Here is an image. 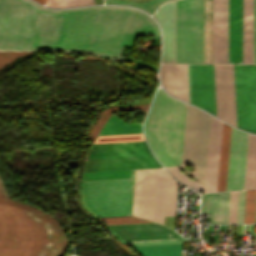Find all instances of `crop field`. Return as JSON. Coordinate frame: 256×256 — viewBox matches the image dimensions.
Here are the masks:
<instances>
[{
  "label": "crop field",
  "instance_id": "26",
  "mask_svg": "<svg viewBox=\"0 0 256 256\" xmlns=\"http://www.w3.org/2000/svg\"><path fill=\"white\" fill-rule=\"evenodd\" d=\"M161 81L170 94L178 97L176 65H162Z\"/></svg>",
  "mask_w": 256,
  "mask_h": 256
},
{
  "label": "crop field",
  "instance_id": "13",
  "mask_svg": "<svg viewBox=\"0 0 256 256\" xmlns=\"http://www.w3.org/2000/svg\"><path fill=\"white\" fill-rule=\"evenodd\" d=\"M248 134L232 128L227 190L243 189Z\"/></svg>",
  "mask_w": 256,
  "mask_h": 256
},
{
  "label": "crop field",
  "instance_id": "25",
  "mask_svg": "<svg viewBox=\"0 0 256 256\" xmlns=\"http://www.w3.org/2000/svg\"><path fill=\"white\" fill-rule=\"evenodd\" d=\"M182 244L134 247L143 256H181Z\"/></svg>",
  "mask_w": 256,
  "mask_h": 256
},
{
  "label": "crop field",
  "instance_id": "17",
  "mask_svg": "<svg viewBox=\"0 0 256 256\" xmlns=\"http://www.w3.org/2000/svg\"><path fill=\"white\" fill-rule=\"evenodd\" d=\"M122 239H153L179 237L170 229L155 223L109 226Z\"/></svg>",
  "mask_w": 256,
  "mask_h": 256
},
{
  "label": "crop field",
  "instance_id": "42",
  "mask_svg": "<svg viewBox=\"0 0 256 256\" xmlns=\"http://www.w3.org/2000/svg\"><path fill=\"white\" fill-rule=\"evenodd\" d=\"M37 1H39V2H41V3H43V4H44V2H45V0H37Z\"/></svg>",
  "mask_w": 256,
  "mask_h": 256
},
{
  "label": "crop field",
  "instance_id": "21",
  "mask_svg": "<svg viewBox=\"0 0 256 256\" xmlns=\"http://www.w3.org/2000/svg\"><path fill=\"white\" fill-rule=\"evenodd\" d=\"M256 188V136L249 134L244 189Z\"/></svg>",
  "mask_w": 256,
  "mask_h": 256
},
{
  "label": "crop field",
  "instance_id": "36",
  "mask_svg": "<svg viewBox=\"0 0 256 256\" xmlns=\"http://www.w3.org/2000/svg\"><path fill=\"white\" fill-rule=\"evenodd\" d=\"M246 190L238 191L237 223H244Z\"/></svg>",
  "mask_w": 256,
  "mask_h": 256
},
{
  "label": "crop field",
  "instance_id": "20",
  "mask_svg": "<svg viewBox=\"0 0 256 256\" xmlns=\"http://www.w3.org/2000/svg\"><path fill=\"white\" fill-rule=\"evenodd\" d=\"M167 172L157 169L153 221L163 224Z\"/></svg>",
  "mask_w": 256,
  "mask_h": 256
},
{
  "label": "crop field",
  "instance_id": "14",
  "mask_svg": "<svg viewBox=\"0 0 256 256\" xmlns=\"http://www.w3.org/2000/svg\"><path fill=\"white\" fill-rule=\"evenodd\" d=\"M213 63H228V0H213Z\"/></svg>",
  "mask_w": 256,
  "mask_h": 256
},
{
  "label": "crop field",
  "instance_id": "8",
  "mask_svg": "<svg viewBox=\"0 0 256 256\" xmlns=\"http://www.w3.org/2000/svg\"><path fill=\"white\" fill-rule=\"evenodd\" d=\"M237 127L256 133V65H234Z\"/></svg>",
  "mask_w": 256,
  "mask_h": 256
},
{
  "label": "crop field",
  "instance_id": "16",
  "mask_svg": "<svg viewBox=\"0 0 256 256\" xmlns=\"http://www.w3.org/2000/svg\"><path fill=\"white\" fill-rule=\"evenodd\" d=\"M229 63H242V0H229Z\"/></svg>",
  "mask_w": 256,
  "mask_h": 256
},
{
  "label": "crop field",
  "instance_id": "41",
  "mask_svg": "<svg viewBox=\"0 0 256 256\" xmlns=\"http://www.w3.org/2000/svg\"><path fill=\"white\" fill-rule=\"evenodd\" d=\"M47 5L50 7H57V0H47Z\"/></svg>",
  "mask_w": 256,
  "mask_h": 256
},
{
  "label": "crop field",
  "instance_id": "11",
  "mask_svg": "<svg viewBox=\"0 0 256 256\" xmlns=\"http://www.w3.org/2000/svg\"><path fill=\"white\" fill-rule=\"evenodd\" d=\"M217 117L236 126L233 65H214Z\"/></svg>",
  "mask_w": 256,
  "mask_h": 256
},
{
  "label": "crop field",
  "instance_id": "40",
  "mask_svg": "<svg viewBox=\"0 0 256 256\" xmlns=\"http://www.w3.org/2000/svg\"><path fill=\"white\" fill-rule=\"evenodd\" d=\"M185 241H187V240L150 242V243H135V244H130V245L133 246V245H146V244H172V243H184Z\"/></svg>",
  "mask_w": 256,
  "mask_h": 256
},
{
  "label": "crop field",
  "instance_id": "15",
  "mask_svg": "<svg viewBox=\"0 0 256 256\" xmlns=\"http://www.w3.org/2000/svg\"><path fill=\"white\" fill-rule=\"evenodd\" d=\"M154 18L163 31L162 63H175V1L160 6Z\"/></svg>",
  "mask_w": 256,
  "mask_h": 256
},
{
  "label": "crop field",
  "instance_id": "38",
  "mask_svg": "<svg viewBox=\"0 0 256 256\" xmlns=\"http://www.w3.org/2000/svg\"><path fill=\"white\" fill-rule=\"evenodd\" d=\"M237 191L231 192L229 223H236Z\"/></svg>",
  "mask_w": 256,
  "mask_h": 256
},
{
  "label": "crop field",
  "instance_id": "2",
  "mask_svg": "<svg viewBox=\"0 0 256 256\" xmlns=\"http://www.w3.org/2000/svg\"><path fill=\"white\" fill-rule=\"evenodd\" d=\"M32 52H0V69ZM67 239L49 214L10 200L0 181V256H62Z\"/></svg>",
  "mask_w": 256,
  "mask_h": 256
},
{
  "label": "crop field",
  "instance_id": "9",
  "mask_svg": "<svg viewBox=\"0 0 256 256\" xmlns=\"http://www.w3.org/2000/svg\"><path fill=\"white\" fill-rule=\"evenodd\" d=\"M223 122L211 117L205 186L188 178L177 167L166 168L181 183L201 190L216 191Z\"/></svg>",
  "mask_w": 256,
  "mask_h": 256
},
{
  "label": "crop field",
  "instance_id": "12",
  "mask_svg": "<svg viewBox=\"0 0 256 256\" xmlns=\"http://www.w3.org/2000/svg\"><path fill=\"white\" fill-rule=\"evenodd\" d=\"M156 169L136 170L133 215L152 221Z\"/></svg>",
  "mask_w": 256,
  "mask_h": 256
},
{
  "label": "crop field",
  "instance_id": "31",
  "mask_svg": "<svg viewBox=\"0 0 256 256\" xmlns=\"http://www.w3.org/2000/svg\"><path fill=\"white\" fill-rule=\"evenodd\" d=\"M169 0H152L150 2H128V1H117V0H105L106 4H123L130 5L140 8L148 13H153L155 9L163 2Z\"/></svg>",
  "mask_w": 256,
  "mask_h": 256
},
{
  "label": "crop field",
  "instance_id": "4",
  "mask_svg": "<svg viewBox=\"0 0 256 256\" xmlns=\"http://www.w3.org/2000/svg\"><path fill=\"white\" fill-rule=\"evenodd\" d=\"M154 167L161 166L145 141L102 143L91 147L83 172Z\"/></svg>",
  "mask_w": 256,
  "mask_h": 256
},
{
  "label": "crop field",
  "instance_id": "5",
  "mask_svg": "<svg viewBox=\"0 0 256 256\" xmlns=\"http://www.w3.org/2000/svg\"><path fill=\"white\" fill-rule=\"evenodd\" d=\"M203 0L176 1V63H202Z\"/></svg>",
  "mask_w": 256,
  "mask_h": 256
},
{
  "label": "crop field",
  "instance_id": "3",
  "mask_svg": "<svg viewBox=\"0 0 256 256\" xmlns=\"http://www.w3.org/2000/svg\"><path fill=\"white\" fill-rule=\"evenodd\" d=\"M186 104L158 90L144 124L154 154L164 167L180 165Z\"/></svg>",
  "mask_w": 256,
  "mask_h": 256
},
{
  "label": "crop field",
  "instance_id": "10",
  "mask_svg": "<svg viewBox=\"0 0 256 256\" xmlns=\"http://www.w3.org/2000/svg\"><path fill=\"white\" fill-rule=\"evenodd\" d=\"M190 103L216 115L213 65H188Z\"/></svg>",
  "mask_w": 256,
  "mask_h": 256
},
{
  "label": "crop field",
  "instance_id": "27",
  "mask_svg": "<svg viewBox=\"0 0 256 256\" xmlns=\"http://www.w3.org/2000/svg\"><path fill=\"white\" fill-rule=\"evenodd\" d=\"M148 104H141V105H135V106H129V107H123V108H119V107H114V108H109L107 110H104L101 112L99 118L97 119L96 123L94 124L93 128L91 129L89 135L90 141H93V139L95 138V136L97 135V133L99 132V130L101 129V127L103 126V124L105 123V121L107 120V118L109 117V113L110 111H113L115 109L118 110H126V109H143V110H147Z\"/></svg>",
  "mask_w": 256,
  "mask_h": 256
},
{
  "label": "crop field",
  "instance_id": "32",
  "mask_svg": "<svg viewBox=\"0 0 256 256\" xmlns=\"http://www.w3.org/2000/svg\"><path fill=\"white\" fill-rule=\"evenodd\" d=\"M138 35H144V36L154 35V36H159V30H158L157 25L152 21V19L150 17H148L145 14H142V18H141V21H140V25H139L136 37Z\"/></svg>",
  "mask_w": 256,
  "mask_h": 256
},
{
  "label": "crop field",
  "instance_id": "24",
  "mask_svg": "<svg viewBox=\"0 0 256 256\" xmlns=\"http://www.w3.org/2000/svg\"><path fill=\"white\" fill-rule=\"evenodd\" d=\"M141 133V125L122 122L116 116H110L99 135Z\"/></svg>",
  "mask_w": 256,
  "mask_h": 256
},
{
  "label": "crop field",
  "instance_id": "6",
  "mask_svg": "<svg viewBox=\"0 0 256 256\" xmlns=\"http://www.w3.org/2000/svg\"><path fill=\"white\" fill-rule=\"evenodd\" d=\"M133 179L83 182L85 204L99 217L130 215Z\"/></svg>",
  "mask_w": 256,
  "mask_h": 256
},
{
  "label": "crop field",
  "instance_id": "18",
  "mask_svg": "<svg viewBox=\"0 0 256 256\" xmlns=\"http://www.w3.org/2000/svg\"><path fill=\"white\" fill-rule=\"evenodd\" d=\"M230 192L203 194L202 214H211L210 224L228 223Z\"/></svg>",
  "mask_w": 256,
  "mask_h": 256
},
{
  "label": "crop field",
  "instance_id": "37",
  "mask_svg": "<svg viewBox=\"0 0 256 256\" xmlns=\"http://www.w3.org/2000/svg\"><path fill=\"white\" fill-rule=\"evenodd\" d=\"M87 4H93V0H58V7H75Z\"/></svg>",
  "mask_w": 256,
  "mask_h": 256
},
{
  "label": "crop field",
  "instance_id": "19",
  "mask_svg": "<svg viewBox=\"0 0 256 256\" xmlns=\"http://www.w3.org/2000/svg\"><path fill=\"white\" fill-rule=\"evenodd\" d=\"M243 63H253V0H243Z\"/></svg>",
  "mask_w": 256,
  "mask_h": 256
},
{
  "label": "crop field",
  "instance_id": "28",
  "mask_svg": "<svg viewBox=\"0 0 256 256\" xmlns=\"http://www.w3.org/2000/svg\"><path fill=\"white\" fill-rule=\"evenodd\" d=\"M177 183L168 174L165 215L175 216Z\"/></svg>",
  "mask_w": 256,
  "mask_h": 256
},
{
  "label": "crop field",
  "instance_id": "34",
  "mask_svg": "<svg viewBox=\"0 0 256 256\" xmlns=\"http://www.w3.org/2000/svg\"><path fill=\"white\" fill-rule=\"evenodd\" d=\"M144 140L142 134L98 136L94 143Z\"/></svg>",
  "mask_w": 256,
  "mask_h": 256
},
{
  "label": "crop field",
  "instance_id": "22",
  "mask_svg": "<svg viewBox=\"0 0 256 256\" xmlns=\"http://www.w3.org/2000/svg\"><path fill=\"white\" fill-rule=\"evenodd\" d=\"M204 63H212V0H204Z\"/></svg>",
  "mask_w": 256,
  "mask_h": 256
},
{
  "label": "crop field",
  "instance_id": "33",
  "mask_svg": "<svg viewBox=\"0 0 256 256\" xmlns=\"http://www.w3.org/2000/svg\"><path fill=\"white\" fill-rule=\"evenodd\" d=\"M256 189L247 190L245 223H255Z\"/></svg>",
  "mask_w": 256,
  "mask_h": 256
},
{
  "label": "crop field",
  "instance_id": "7",
  "mask_svg": "<svg viewBox=\"0 0 256 256\" xmlns=\"http://www.w3.org/2000/svg\"><path fill=\"white\" fill-rule=\"evenodd\" d=\"M210 115L187 104L181 165H195L194 179L204 184Z\"/></svg>",
  "mask_w": 256,
  "mask_h": 256
},
{
  "label": "crop field",
  "instance_id": "29",
  "mask_svg": "<svg viewBox=\"0 0 256 256\" xmlns=\"http://www.w3.org/2000/svg\"><path fill=\"white\" fill-rule=\"evenodd\" d=\"M134 170L83 173L82 180L133 177Z\"/></svg>",
  "mask_w": 256,
  "mask_h": 256
},
{
  "label": "crop field",
  "instance_id": "39",
  "mask_svg": "<svg viewBox=\"0 0 256 256\" xmlns=\"http://www.w3.org/2000/svg\"><path fill=\"white\" fill-rule=\"evenodd\" d=\"M254 63H256V0H254Z\"/></svg>",
  "mask_w": 256,
  "mask_h": 256
},
{
  "label": "crop field",
  "instance_id": "35",
  "mask_svg": "<svg viewBox=\"0 0 256 256\" xmlns=\"http://www.w3.org/2000/svg\"><path fill=\"white\" fill-rule=\"evenodd\" d=\"M107 225H115V224H130V223H146L149 221H145L139 218H135L132 216L125 217H114V218H101Z\"/></svg>",
  "mask_w": 256,
  "mask_h": 256
},
{
  "label": "crop field",
  "instance_id": "1",
  "mask_svg": "<svg viewBox=\"0 0 256 256\" xmlns=\"http://www.w3.org/2000/svg\"><path fill=\"white\" fill-rule=\"evenodd\" d=\"M141 14L127 7L48 10L30 0H0V50L80 51L120 61Z\"/></svg>",
  "mask_w": 256,
  "mask_h": 256
},
{
  "label": "crop field",
  "instance_id": "30",
  "mask_svg": "<svg viewBox=\"0 0 256 256\" xmlns=\"http://www.w3.org/2000/svg\"><path fill=\"white\" fill-rule=\"evenodd\" d=\"M179 98L189 102L187 65H177Z\"/></svg>",
  "mask_w": 256,
  "mask_h": 256
},
{
  "label": "crop field",
  "instance_id": "23",
  "mask_svg": "<svg viewBox=\"0 0 256 256\" xmlns=\"http://www.w3.org/2000/svg\"><path fill=\"white\" fill-rule=\"evenodd\" d=\"M230 132L231 127L224 124L217 191L225 190Z\"/></svg>",
  "mask_w": 256,
  "mask_h": 256
}]
</instances>
